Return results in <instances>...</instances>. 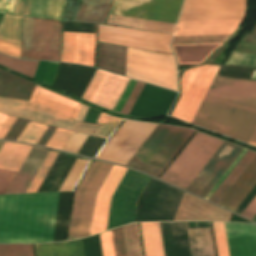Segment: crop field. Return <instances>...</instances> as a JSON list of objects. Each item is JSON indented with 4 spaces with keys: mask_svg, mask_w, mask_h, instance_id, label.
<instances>
[{
    "mask_svg": "<svg viewBox=\"0 0 256 256\" xmlns=\"http://www.w3.org/2000/svg\"><path fill=\"white\" fill-rule=\"evenodd\" d=\"M248 144L256 146V127H255L249 141H248Z\"/></svg>",
    "mask_w": 256,
    "mask_h": 256,
    "instance_id": "crop-field-70",
    "label": "crop field"
},
{
    "mask_svg": "<svg viewBox=\"0 0 256 256\" xmlns=\"http://www.w3.org/2000/svg\"><path fill=\"white\" fill-rule=\"evenodd\" d=\"M126 76L177 91L173 55L127 48Z\"/></svg>",
    "mask_w": 256,
    "mask_h": 256,
    "instance_id": "crop-field-7",
    "label": "crop field"
},
{
    "mask_svg": "<svg viewBox=\"0 0 256 256\" xmlns=\"http://www.w3.org/2000/svg\"><path fill=\"white\" fill-rule=\"evenodd\" d=\"M103 256H114L110 231L100 235Z\"/></svg>",
    "mask_w": 256,
    "mask_h": 256,
    "instance_id": "crop-field-55",
    "label": "crop field"
},
{
    "mask_svg": "<svg viewBox=\"0 0 256 256\" xmlns=\"http://www.w3.org/2000/svg\"><path fill=\"white\" fill-rule=\"evenodd\" d=\"M230 35L174 37L171 45L224 43Z\"/></svg>",
    "mask_w": 256,
    "mask_h": 256,
    "instance_id": "crop-field-38",
    "label": "crop field"
},
{
    "mask_svg": "<svg viewBox=\"0 0 256 256\" xmlns=\"http://www.w3.org/2000/svg\"><path fill=\"white\" fill-rule=\"evenodd\" d=\"M109 118L110 116L101 113L96 123L105 124L109 120Z\"/></svg>",
    "mask_w": 256,
    "mask_h": 256,
    "instance_id": "crop-field-68",
    "label": "crop field"
},
{
    "mask_svg": "<svg viewBox=\"0 0 256 256\" xmlns=\"http://www.w3.org/2000/svg\"><path fill=\"white\" fill-rule=\"evenodd\" d=\"M126 47L98 43L96 67L125 76Z\"/></svg>",
    "mask_w": 256,
    "mask_h": 256,
    "instance_id": "crop-field-26",
    "label": "crop field"
},
{
    "mask_svg": "<svg viewBox=\"0 0 256 256\" xmlns=\"http://www.w3.org/2000/svg\"><path fill=\"white\" fill-rule=\"evenodd\" d=\"M47 128V125L29 121L17 141L37 144Z\"/></svg>",
    "mask_w": 256,
    "mask_h": 256,
    "instance_id": "crop-field-40",
    "label": "crop field"
},
{
    "mask_svg": "<svg viewBox=\"0 0 256 256\" xmlns=\"http://www.w3.org/2000/svg\"><path fill=\"white\" fill-rule=\"evenodd\" d=\"M193 133L189 129L158 125L126 166L158 177Z\"/></svg>",
    "mask_w": 256,
    "mask_h": 256,
    "instance_id": "crop-field-5",
    "label": "crop field"
},
{
    "mask_svg": "<svg viewBox=\"0 0 256 256\" xmlns=\"http://www.w3.org/2000/svg\"><path fill=\"white\" fill-rule=\"evenodd\" d=\"M230 216L231 213L185 193L173 221H228Z\"/></svg>",
    "mask_w": 256,
    "mask_h": 256,
    "instance_id": "crop-field-20",
    "label": "crop field"
},
{
    "mask_svg": "<svg viewBox=\"0 0 256 256\" xmlns=\"http://www.w3.org/2000/svg\"><path fill=\"white\" fill-rule=\"evenodd\" d=\"M172 35L130 30L99 25L98 41L136 47L140 49L172 53L169 44Z\"/></svg>",
    "mask_w": 256,
    "mask_h": 256,
    "instance_id": "crop-field-13",
    "label": "crop field"
},
{
    "mask_svg": "<svg viewBox=\"0 0 256 256\" xmlns=\"http://www.w3.org/2000/svg\"><path fill=\"white\" fill-rule=\"evenodd\" d=\"M244 38L256 40V26L254 27L252 33H251V34L246 33V35L244 36Z\"/></svg>",
    "mask_w": 256,
    "mask_h": 256,
    "instance_id": "crop-field-71",
    "label": "crop field"
},
{
    "mask_svg": "<svg viewBox=\"0 0 256 256\" xmlns=\"http://www.w3.org/2000/svg\"><path fill=\"white\" fill-rule=\"evenodd\" d=\"M225 64L256 67V56L233 52Z\"/></svg>",
    "mask_w": 256,
    "mask_h": 256,
    "instance_id": "crop-field-47",
    "label": "crop field"
},
{
    "mask_svg": "<svg viewBox=\"0 0 256 256\" xmlns=\"http://www.w3.org/2000/svg\"><path fill=\"white\" fill-rule=\"evenodd\" d=\"M219 66L203 65L184 71L180 79L181 98L172 117L191 123Z\"/></svg>",
    "mask_w": 256,
    "mask_h": 256,
    "instance_id": "crop-field-9",
    "label": "crop field"
},
{
    "mask_svg": "<svg viewBox=\"0 0 256 256\" xmlns=\"http://www.w3.org/2000/svg\"><path fill=\"white\" fill-rule=\"evenodd\" d=\"M127 256H143L138 225L133 223L122 227Z\"/></svg>",
    "mask_w": 256,
    "mask_h": 256,
    "instance_id": "crop-field-36",
    "label": "crop field"
},
{
    "mask_svg": "<svg viewBox=\"0 0 256 256\" xmlns=\"http://www.w3.org/2000/svg\"><path fill=\"white\" fill-rule=\"evenodd\" d=\"M73 192L0 196V243L64 240Z\"/></svg>",
    "mask_w": 256,
    "mask_h": 256,
    "instance_id": "crop-field-1",
    "label": "crop field"
},
{
    "mask_svg": "<svg viewBox=\"0 0 256 256\" xmlns=\"http://www.w3.org/2000/svg\"><path fill=\"white\" fill-rule=\"evenodd\" d=\"M31 0H16L14 14L29 16Z\"/></svg>",
    "mask_w": 256,
    "mask_h": 256,
    "instance_id": "crop-field-58",
    "label": "crop field"
},
{
    "mask_svg": "<svg viewBox=\"0 0 256 256\" xmlns=\"http://www.w3.org/2000/svg\"><path fill=\"white\" fill-rule=\"evenodd\" d=\"M28 123L27 120L19 119L15 121L14 125L8 132L7 136L5 137L6 140H15L18 138L26 124Z\"/></svg>",
    "mask_w": 256,
    "mask_h": 256,
    "instance_id": "crop-field-54",
    "label": "crop field"
},
{
    "mask_svg": "<svg viewBox=\"0 0 256 256\" xmlns=\"http://www.w3.org/2000/svg\"><path fill=\"white\" fill-rule=\"evenodd\" d=\"M115 256H125L121 227L111 231Z\"/></svg>",
    "mask_w": 256,
    "mask_h": 256,
    "instance_id": "crop-field-49",
    "label": "crop field"
},
{
    "mask_svg": "<svg viewBox=\"0 0 256 256\" xmlns=\"http://www.w3.org/2000/svg\"><path fill=\"white\" fill-rule=\"evenodd\" d=\"M145 256H164L159 223H140Z\"/></svg>",
    "mask_w": 256,
    "mask_h": 256,
    "instance_id": "crop-field-32",
    "label": "crop field"
},
{
    "mask_svg": "<svg viewBox=\"0 0 256 256\" xmlns=\"http://www.w3.org/2000/svg\"><path fill=\"white\" fill-rule=\"evenodd\" d=\"M15 120H16L15 117L8 116V118L6 119V121L4 122V124L0 129V139H3V137L5 136L7 131L10 129V127L12 126Z\"/></svg>",
    "mask_w": 256,
    "mask_h": 256,
    "instance_id": "crop-field-65",
    "label": "crop field"
},
{
    "mask_svg": "<svg viewBox=\"0 0 256 256\" xmlns=\"http://www.w3.org/2000/svg\"><path fill=\"white\" fill-rule=\"evenodd\" d=\"M245 0H185L178 22L243 20Z\"/></svg>",
    "mask_w": 256,
    "mask_h": 256,
    "instance_id": "crop-field-12",
    "label": "crop field"
},
{
    "mask_svg": "<svg viewBox=\"0 0 256 256\" xmlns=\"http://www.w3.org/2000/svg\"><path fill=\"white\" fill-rule=\"evenodd\" d=\"M234 51L256 55V43L241 41Z\"/></svg>",
    "mask_w": 256,
    "mask_h": 256,
    "instance_id": "crop-field-60",
    "label": "crop field"
},
{
    "mask_svg": "<svg viewBox=\"0 0 256 256\" xmlns=\"http://www.w3.org/2000/svg\"><path fill=\"white\" fill-rule=\"evenodd\" d=\"M156 126L126 120L96 158L125 165Z\"/></svg>",
    "mask_w": 256,
    "mask_h": 256,
    "instance_id": "crop-field-11",
    "label": "crop field"
},
{
    "mask_svg": "<svg viewBox=\"0 0 256 256\" xmlns=\"http://www.w3.org/2000/svg\"><path fill=\"white\" fill-rule=\"evenodd\" d=\"M242 40H244V41H250V42H256V41H252V40H246V39H242Z\"/></svg>",
    "mask_w": 256,
    "mask_h": 256,
    "instance_id": "crop-field-74",
    "label": "crop field"
},
{
    "mask_svg": "<svg viewBox=\"0 0 256 256\" xmlns=\"http://www.w3.org/2000/svg\"><path fill=\"white\" fill-rule=\"evenodd\" d=\"M87 137L88 135L73 132L63 150L77 153Z\"/></svg>",
    "mask_w": 256,
    "mask_h": 256,
    "instance_id": "crop-field-48",
    "label": "crop field"
},
{
    "mask_svg": "<svg viewBox=\"0 0 256 256\" xmlns=\"http://www.w3.org/2000/svg\"><path fill=\"white\" fill-rule=\"evenodd\" d=\"M65 0H32L30 16L62 21Z\"/></svg>",
    "mask_w": 256,
    "mask_h": 256,
    "instance_id": "crop-field-34",
    "label": "crop field"
},
{
    "mask_svg": "<svg viewBox=\"0 0 256 256\" xmlns=\"http://www.w3.org/2000/svg\"><path fill=\"white\" fill-rule=\"evenodd\" d=\"M37 256H46L44 244H35Z\"/></svg>",
    "mask_w": 256,
    "mask_h": 256,
    "instance_id": "crop-field-67",
    "label": "crop field"
},
{
    "mask_svg": "<svg viewBox=\"0 0 256 256\" xmlns=\"http://www.w3.org/2000/svg\"><path fill=\"white\" fill-rule=\"evenodd\" d=\"M34 84L0 70V96L30 99Z\"/></svg>",
    "mask_w": 256,
    "mask_h": 256,
    "instance_id": "crop-field-28",
    "label": "crop field"
},
{
    "mask_svg": "<svg viewBox=\"0 0 256 256\" xmlns=\"http://www.w3.org/2000/svg\"><path fill=\"white\" fill-rule=\"evenodd\" d=\"M54 130H55V127L49 126V128L47 129L45 134L42 136L38 144L45 146V144L47 143L48 139L50 138Z\"/></svg>",
    "mask_w": 256,
    "mask_h": 256,
    "instance_id": "crop-field-66",
    "label": "crop field"
},
{
    "mask_svg": "<svg viewBox=\"0 0 256 256\" xmlns=\"http://www.w3.org/2000/svg\"><path fill=\"white\" fill-rule=\"evenodd\" d=\"M31 147L4 142L0 149V169L18 172Z\"/></svg>",
    "mask_w": 256,
    "mask_h": 256,
    "instance_id": "crop-field-29",
    "label": "crop field"
},
{
    "mask_svg": "<svg viewBox=\"0 0 256 256\" xmlns=\"http://www.w3.org/2000/svg\"><path fill=\"white\" fill-rule=\"evenodd\" d=\"M0 256H34L32 244L0 245Z\"/></svg>",
    "mask_w": 256,
    "mask_h": 256,
    "instance_id": "crop-field-45",
    "label": "crop field"
},
{
    "mask_svg": "<svg viewBox=\"0 0 256 256\" xmlns=\"http://www.w3.org/2000/svg\"><path fill=\"white\" fill-rule=\"evenodd\" d=\"M87 108H88L87 106H84V105L82 106V108H81V110H80V112H79V114H78L76 120H79V121H82V120H83Z\"/></svg>",
    "mask_w": 256,
    "mask_h": 256,
    "instance_id": "crop-field-69",
    "label": "crop field"
},
{
    "mask_svg": "<svg viewBox=\"0 0 256 256\" xmlns=\"http://www.w3.org/2000/svg\"><path fill=\"white\" fill-rule=\"evenodd\" d=\"M135 81H136V80H135ZM135 81L130 80V82H129L127 88H126V90L124 91V93H123L121 99L119 100V102H118V104H117V106H116V108H115V111L120 112V110H121V108H122L124 102L126 101L128 95H129V93L131 92V90H132V88H133V86H134V84H135Z\"/></svg>",
    "mask_w": 256,
    "mask_h": 256,
    "instance_id": "crop-field-63",
    "label": "crop field"
},
{
    "mask_svg": "<svg viewBox=\"0 0 256 256\" xmlns=\"http://www.w3.org/2000/svg\"><path fill=\"white\" fill-rule=\"evenodd\" d=\"M66 256H85L82 240L64 242Z\"/></svg>",
    "mask_w": 256,
    "mask_h": 256,
    "instance_id": "crop-field-50",
    "label": "crop field"
},
{
    "mask_svg": "<svg viewBox=\"0 0 256 256\" xmlns=\"http://www.w3.org/2000/svg\"><path fill=\"white\" fill-rule=\"evenodd\" d=\"M71 134L70 131L56 128L46 146L62 150Z\"/></svg>",
    "mask_w": 256,
    "mask_h": 256,
    "instance_id": "crop-field-46",
    "label": "crop field"
},
{
    "mask_svg": "<svg viewBox=\"0 0 256 256\" xmlns=\"http://www.w3.org/2000/svg\"><path fill=\"white\" fill-rule=\"evenodd\" d=\"M143 86H144V83H141V82L137 81L133 91L131 92L127 102L125 103V105H124V107L121 111V114L128 115L131 107L133 106V104H134L135 100L137 99V97H138L140 91L142 90Z\"/></svg>",
    "mask_w": 256,
    "mask_h": 256,
    "instance_id": "crop-field-51",
    "label": "crop field"
},
{
    "mask_svg": "<svg viewBox=\"0 0 256 256\" xmlns=\"http://www.w3.org/2000/svg\"><path fill=\"white\" fill-rule=\"evenodd\" d=\"M192 256H215L211 228H189Z\"/></svg>",
    "mask_w": 256,
    "mask_h": 256,
    "instance_id": "crop-field-30",
    "label": "crop field"
},
{
    "mask_svg": "<svg viewBox=\"0 0 256 256\" xmlns=\"http://www.w3.org/2000/svg\"><path fill=\"white\" fill-rule=\"evenodd\" d=\"M192 124L247 143L256 125V82L215 77Z\"/></svg>",
    "mask_w": 256,
    "mask_h": 256,
    "instance_id": "crop-field-2",
    "label": "crop field"
},
{
    "mask_svg": "<svg viewBox=\"0 0 256 256\" xmlns=\"http://www.w3.org/2000/svg\"><path fill=\"white\" fill-rule=\"evenodd\" d=\"M3 142H0V147L2 146Z\"/></svg>",
    "mask_w": 256,
    "mask_h": 256,
    "instance_id": "crop-field-75",
    "label": "crop field"
},
{
    "mask_svg": "<svg viewBox=\"0 0 256 256\" xmlns=\"http://www.w3.org/2000/svg\"><path fill=\"white\" fill-rule=\"evenodd\" d=\"M33 18L23 17L21 58L31 59Z\"/></svg>",
    "mask_w": 256,
    "mask_h": 256,
    "instance_id": "crop-field-41",
    "label": "crop field"
},
{
    "mask_svg": "<svg viewBox=\"0 0 256 256\" xmlns=\"http://www.w3.org/2000/svg\"><path fill=\"white\" fill-rule=\"evenodd\" d=\"M81 104L35 86L30 101L0 97V112L96 136L103 127L74 119Z\"/></svg>",
    "mask_w": 256,
    "mask_h": 256,
    "instance_id": "crop-field-3",
    "label": "crop field"
},
{
    "mask_svg": "<svg viewBox=\"0 0 256 256\" xmlns=\"http://www.w3.org/2000/svg\"><path fill=\"white\" fill-rule=\"evenodd\" d=\"M230 256H256V226L225 223Z\"/></svg>",
    "mask_w": 256,
    "mask_h": 256,
    "instance_id": "crop-field-22",
    "label": "crop field"
},
{
    "mask_svg": "<svg viewBox=\"0 0 256 256\" xmlns=\"http://www.w3.org/2000/svg\"><path fill=\"white\" fill-rule=\"evenodd\" d=\"M246 149L238 156V158L234 161V163L229 167V169L225 172V174L220 178V180L215 184V186L211 189V191L206 195L205 199H209V197L213 194V192L217 189V187L221 184V182L225 179V177L230 173V171L234 168V166L238 163V161L242 158V156L246 153Z\"/></svg>",
    "mask_w": 256,
    "mask_h": 256,
    "instance_id": "crop-field-61",
    "label": "crop field"
},
{
    "mask_svg": "<svg viewBox=\"0 0 256 256\" xmlns=\"http://www.w3.org/2000/svg\"><path fill=\"white\" fill-rule=\"evenodd\" d=\"M14 5L15 0H0V12L13 14Z\"/></svg>",
    "mask_w": 256,
    "mask_h": 256,
    "instance_id": "crop-field-64",
    "label": "crop field"
},
{
    "mask_svg": "<svg viewBox=\"0 0 256 256\" xmlns=\"http://www.w3.org/2000/svg\"><path fill=\"white\" fill-rule=\"evenodd\" d=\"M16 173L0 170V194H5L12 183Z\"/></svg>",
    "mask_w": 256,
    "mask_h": 256,
    "instance_id": "crop-field-53",
    "label": "crop field"
},
{
    "mask_svg": "<svg viewBox=\"0 0 256 256\" xmlns=\"http://www.w3.org/2000/svg\"><path fill=\"white\" fill-rule=\"evenodd\" d=\"M255 185L256 158L220 201L219 205L234 212Z\"/></svg>",
    "mask_w": 256,
    "mask_h": 256,
    "instance_id": "crop-field-24",
    "label": "crop field"
},
{
    "mask_svg": "<svg viewBox=\"0 0 256 256\" xmlns=\"http://www.w3.org/2000/svg\"><path fill=\"white\" fill-rule=\"evenodd\" d=\"M62 22L34 18V60H57L60 55Z\"/></svg>",
    "mask_w": 256,
    "mask_h": 256,
    "instance_id": "crop-field-16",
    "label": "crop field"
},
{
    "mask_svg": "<svg viewBox=\"0 0 256 256\" xmlns=\"http://www.w3.org/2000/svg\"><path fill=\"white\" fill-rule=\"evenodd\" d=\"M22 17L5 14L0 23V38L21 45Z\"/></svg>",
    "mask_w": 256,
    "mask_h": 256,
    "instance_id": "crop-field-35",
    "label": "crop field"
},
{
    "mask_svg": "<svg viewBox=\"0 0 256 256\" xmlns=\"http://www.w3.org/2000/svg\"><path fill=\"white\" fill-rule=\"evenodd\" d=\"M241 21L178 23L174 36L232 34Z\"/></svg>",
    "mask_w": 256,
    "mask_h": 256,
    "instance_id": "crop-field-25",
    "label": "crop field"
},
{
    "mask_svg": "<svg viewBox=\"0 0 256 256\" xmlns=\"http://www.w3.org/2000/svg\"><path fill=\"white\" fill-rule=\"evenodd\" d=\"M6 118H7V115L0 114V127L3 124V122L5 121Z\"/></svg>",
    "mask_w": 256,
    "mask_h": 256,
    "instance_id": "crop-field-72",
    "label": "crop field"
},
{
    "mask_svg": "<svg viewBox=\"0 0 256 256\" xmlns=\"http://www.w3.org/2000/svg\"><path fill=\"white\" fill-rule=\"evenodd\" d=\"M75 158L65 156L46 192L59 191L63 181L65 180L69 170L71 169Z\"/></svg>",
    "mask_w": 256,
    "mask_h": 256,
    "instance_id": "crop-field-39",
    "label": "crop field"
},
{
    "mask_svg": "<svg viewBox=\"0 0 256 256\" xmlns=\"http://www.w3.org/2000/svg\"><path fill=\"white\" fill-rule=\"evenodd\" d=\"M241 215H243L251 220L256 215V196L248 204V206L244 209V211L241 213Z\"/></svg>",
    "mask_w": 256,
    "mask_h": 256,
    "instance_id": "crop-field-62",
    "label": "crop field"
},
{
    "mask_svg": "<svg viewBox=\"0 0 256 256\" xmlns=\"http://www.w3.org/2000/svg\"><path fill=\"white\" fill-rule=\"evenodd\" d=\"M20 45L0 40V52L9 56L20 58Z\"/></svg>",
    "mask_w": 256,
    "mask_h": 256,
    "instance_id": "crop-field-52",
    "label": "crop field"
},
{
    "mask_svg": "<svg viewBox=\"0 0 256 256\" xmlns=\"http://www.w3.org/2000/svg\"><path fill=\"white\" fill-rule=\"evenodd\" d=\"M95 71V68L62 63L55 87L82 98Z\"/></svg>",
    "mask_w": 256,
    "mask_h": 256,
    "instance_id": "crop-field-21",
    "label": "crop field"
},
{
    "mask_svg": "<svg viewBox=\"0 0 256 256\" xmlns=\"http://www.w3.org/2000/svg\"><path fill=\"white\" fill-rule=\"evenodd\" d=\"M38 61H23L15 58L6 57L0 54V64L21 72L29 77H34Z\"/></svg>",
    "mask_w": 256,
    "mask_h": 256,
    "instance_id": "crop-field-37",
    "label": "crop field"
},
{
    "mask_svg": "<svg viewBox=\"0 0 256 256\" xmlns=\"http://www.w3.org/2000/svg\"><path fill=\"white\" fill-rule=\"evenodd\" d=\"M183 0H114L109 14L176 23ZM108 16L106 24L173 33L175 25L158 21Z\"/></svg>",
    "mask_w": 256,
    "mask_h": 256,
    "instance_id": "crop-field-4",
    "label": "crop field"
},
{
    "mask_svg": "<svg viewBox=\"0 0 256 256\" xmlns=\"http://www.w3.org/2000/svg\"><path fill=\"white\" fill-rule=\"evenodd\" d=\"M255 157L256 153L248 150L243 158L239 161V163L235 166V168L231 171V173L226 177V179L210 197L209 201L218 204Z\"/></svg>",
    "mask_w": 256,
    "mask_h": 256,
    "instance_id": "crop-field-33",
    "label": "crop field"
},
{
    "mask_svg": "<svg viewBox=\"0 0 256 256\" xmlns=\"http://www.w3.org/2000/svg\"><path fill=\"white\" fill-rule=\"evenodd\" d=\"M122 119L111 117L103 129L98 133V137L108 138L113 132L116 126L120 123Z\"/></svg>",
    "mask_w": 256,
    "mask_h": 256,
    "instance_id": "crop-field-56",
    "label": "crop field"
},
{
    "mask_svg": "<svg viewBox=\"0 0 256 256\" xmlns=\"http://www.w3.org/2000/svg\"><path fill=\"white\" fill-rule=\"evenodd\" d=\"M47 153L44 148L32 147L7 194L26 193Z\"/></svg>",
    "mask_w": 256,
    "mask_h": 256,
    "instance_id": "crop-field-23",
    "label": "crop field"
},
{
    "mask_svg": "<svg viewBox=\"0 0 256 256\" xmlns=\"http://www.w3.org/2000/svg\"><path fill=\"white\" fill-rule=\"evenodd\" d=\"M88 160H79L76 159L72 169L70 170L66 180L64 181L60 191L72 190L76 184L78 178L83 172L85 166L87 165Z\"/></svg>",
    "mask_w": 256,
    "mask_h": 256,
    "instance_id": "crop-field-42",
    "label": "crop field"
},
{
    "mask_svg": "<svg viewBox=\"0 0 256 256\" xmlns=\"http://www.w3.org/2000/svg\"><path fill=\"white\" fill-rule=\"evenodd\" d=\"M242 150L243 148L224 142L187 191L204 198Z\"/></svg>",
    "mask_w": 256,
    "mask_h": 256,
    "instance_id": "crop-field-14",
    "label": "crop field"
},
{
    "mask_svg": "<svg viewBox=\"0 0 256 256\" xmlns=\"http://www.w3.org/2000/svg\"><path fill=\"white\" fill-rule=\"evenodd\" d=\"M111 167V164L92 161L75 194L68 236L89 235L95 197Z\"/></svg>",
    "mask_w": 256,
    "mask_h": 256,
    "instance_id": "crop-field-8",
    "label": "crop field"
},
{
    "mask_svg": "<svg viewBox=\"0 0 256 256\" xmlns=\"http://www.w3.org/2000/svg\"><path fill=\"white\" fill-rule=\"evenodd\" d=\"M176 94L145 84L129 115L148 118L164 116Z\"/></svg>",
    "mask_w": 256,
    "mask_h": 256,
    "instance_id": "crop-field-17",
    "label": "crop field"
},
{
    "mask_svg": "<svg viewBox=\"0 0 256 256\" xmlns=\"http://www.w3.org/2000/svg\"><path fill=\"white\" fill-rule=\"evenodd\" d=\"M125 171V168L113 165L106 180L100 188L96 197L90 235L106 230L111 197Z\"/></svg>",
    "mask_w": 256,
    "mask_h": 256,
    "instance_id": "crop-field-19",
    "label": "crop field"
},
{
    "mask_svg": "<svg viewBox=\"0 0 256 256\" xmlns=\"http://www.w3.org/2000/svg\"><path fill=\"white\" fill-rule=\"evenodd\" d=\"M56 155H57L56 152L49 151L46 159L44 160L41 168L39 169L37 175L35 176V178H34L32 184L30 185L27 193L37 192L41 182L43 181V179H44L46 173L48 172L52 162L54 161Z\"/></svg>",
    "mask_w": 256,
    "mask_h": 256,
    "instance_id": "crop-field-43",
    "label": "crop field"
},
{
    "mask_svg": "<svg viewBox=\"0 0 256 256\" xmlns=\"http://www.w3.org/2000/svg\"><path fill=\"white\" fill-rule=\"evenodd\" d=\"M2 14H0V18H1Z\"/></svg>",
    "mask_w": 256,
    "mask_h": 256,
    "instance_id": "crop-field-76",
    "label": "crop field"
},
{
    "mask_svg": "<svg viewBox=\"0 0 256 256\" xmlns=\"http://www.w3.org/2000/svg\"><path fill=\"white\" fill-rule=\"evenodd\" d=\"M222 44L172 46L179 65H199Z\"/></svg>",
    "mask_w": 256,
    "mask_h": 256,
    "instance_id": "crop-field-27",
    "label": "crop field"
},
{
    "mask_svg": "<svg viewBox=\"0 0 256 256\" xmlns=\"http://www.w3.org/2000/svg\"><path fill=\"white\" fill-rule=\"evenodd\" d=\"M149 180L150 177L127 169L112 197L107 230L134 221L137 201Z\"/></svg>",
    "mask_w": 256,
    "mask_h": 256,
    "instance_id": "crop-field-10",
    "label": "crop field"
},
{
    "mask_svg": "<svg viewBox=\"0 0 256 256\" xmlns=\"http://www.w3.org/2000/svg\"><path fill=\"white\" fill-rule=\"evenodd\" d=\"M58 64L59 63H56V62L48 63V67H47L46 74H45L44 81H43L44 83H46L50 86L52 85Z\"/></svg>",
    "mask_w": 256,
    "mask_h": 256,
    "instance_id": "crop-field-59",
    "label": "crop field"
},
{
    "mask_svg": "<svg viewBox=\"0 0 256 256\" xmlns=\"http://www.w3.org/2000/svg\"><path fill=\"white\" fill-rule=\"evenodd\" d=\"M218 256H229L224 223L213 222Z\"/></svg>",
    "mask_w": 256,
    "mask_h": 256,
    "instance_id": "crop-field-44",
    "label": "crop field"
},
{
    "mask_svg": "<svg viewBox=\"0 0 256 256\" xmlns=\"http://www.w3.org/2000/svg\"><path fill=\"white\" fill-rule=\"evenodd\" d=\"M222 143L197 132L160 178L185 190Z\"/></svg>",
    "mask_w": 256,
    "mask_h": 256,
    "instance_id": "crop-field-6",
    "label": "crop field"
},
{
    "mask_svg": "<svg viewBox=\"0 0 256 256\" xmlns=\"http://www.w3.org/2000/svg\"><path fill=\"white\" fill-rule=\"evenodd\" d=\"M47 256H65L63 242L45 244Z\"/></svg>",
    "mask_w": 256,
    "mask_h": 256,
    "instance_id": "crop-field-57",
    "label": "crop field"
},
{
    "mask_svg": "<svg viewBox=\"0 0 256 256\" xmlns=\"http://www.w3.org/2000/svg\"><path fill=\"white\" fill-rule=\"evenodd\" d=\"M96 34L63 32L61 61L94 67Z\"/></svg>",
    "mask_w": 256,
    "mask_h": 256,
    "instance_id": "crop-field-18",
    "label": "crop field"
},
{
    "mask_svg": "<svg viewBox=\"0 0 256 256\" xmlns=\"http://www.w3.org/2000/svg\"><path fill=\"white\" fill-rule=\"evenodd\" d=\"M251 79H256V70L253 71V75Z\"/></svg>",
    "mask_w": 256,
    "mask_h": 256,
    "instance_id": "crop-field-73",
    "label": "crop field"
},
{
    "mask_svg": "<svg viewBox=\"0 0 256 256\" xmlns=\"http://www.w3.org/2000/svg\"><path fill=\"white\" fill-rule=\"evenodd\" d=\"M111 0H83L76 22L104 24Z\"/></svg>",
    "mask_w": 256,
    "mask_h": 256,
    "instance_id": "crop-field-31",
    "label": "crop field"
},
{
    "mask_svg": "<svg viewBox=\"0 0 256 256\" xmlns=\"http://www.w3.org/2000/svg\"><path fill=\"white\" fill-rule=\"evenodd\" d=\"M128 81L129 78L97 69L83 99L113 111Z\"/></svg>",
    "mask_w": 256,
    "mask_h": 256,
    "instance_id": "crop-field-15",
    "label": "crop field"
}]
</instances>
